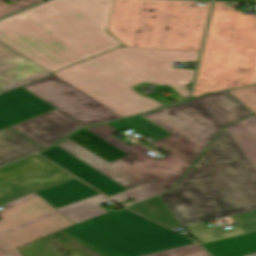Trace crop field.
Returning <instances> with one entry per match:
<instances>
[{
	"label": "crop field",
	"instance_id": "crop-field-1",
	"mask_svg": "<svg viewBox=\"0 0 256 256\" xmlns=\"http://www.w3.org/2000/svg\"><path fill=\"white\" fill-rule=\"evenodd\" d=\"M143 117L173 134L152 143L170 155L156 160L138 143L128 146L112 137L117 132L106 125L87 129L130 156L109 164L69 138L57 146L128 189L153 180L169 190L223 127L188 102Z\"/></svg>",
	"mask_w": 256,
	"mask_h": 256
},
{
	"label": "crop field",
	"instance_id": "crop-field-2",
	"mask_svg": "<svg viewBox=\"0 0 256 256\" xmlns=\"http://www.w3.org/2000/svg\"><path fill=\"white\" fill-rule=\"evenodd\" d=\"M159 197L181 226L256 209V171L224 128Z\"/></svg>",
	"mask_w": 256,
	"mask_h": 256
},
{
	"label": "crop field",
	"instance_id": "crop-field-3",
	"mask_svg": "<svg viewBox=\"0 0 256 256\" xmlns=\"http://www.w3.org/2000/svg\"><path fill=\"white\" fill-rule=\"evenodd\" d=\"M23 13L48 22L53 35L18 13L0 21V41L51 73L121 45L69 0H51Z\"/></svg>",
	"mask_w": 256,
	"mask_h": 256
},
{
	"label": "crop field",
	"instance_id": "crop-field-4",
	"mask_svg": "<svg viewBox=\"0 0 256 256\" xmlns=\"http://www.w3.org/2000/svg\"><path fill=\"white\" fill-rule=\"evenodd\" d=\"M114 0L107 31L126 47L199 51L211 2Z\"/></svg>",
	"mask_w": 256,
	"mask_h": 256
},
{
	"label": "crop field",
	"instance_id": "crop-field-5",
	"mask_svg": "<svg viewBox=\"0 0 256 256\" xmlns=\"http://www.w3.org/2000/svg\"><path fill=\"white\" fill-rule=\"evenodd\" d=\"M215 2L192 98L256 84V16Z\"/></svg>",
	"mask_w": 256,
	"mask_h": 256
},
{
	"label": "crop field",
	"instance_id": "crop-field-6",
	"mask_svg": "<svg viewBox=\"0 0 256 256\" xmlns=\"http://www.w3.org/2000/svg\"><path fill=\"white\" fill-rule=\"evenodd\" d=\"M54 75L123 117L154 109L125 87L148 78L165 82L125 47L91 58Z\"/></svg>",
	"mask_w": 256,
	"mask_h": 256
},
{
	"label": "crop field",
	"instance_id": "crop-field-7",
	"mask_svg": "<svg viewBox=\"0 0 256 256\" xmlns=\"http://www.w3.org/2000/svg\"><path fill=\"white\" fill-rule=\"evenodd\" d=\"M60 233L102 256H141L194 243L125 209L107 213Z\"/></svg>",
	"mask_w": 256,
	"mask_h": 256
},
{
	"label": "crop field",
	"instance_id": "crop-field-8",
	"mask_svg": "<svg viewBox=\"0 0 256 256\" xmlns=\"http://www.w3.org/2000/svg\"><path fill=\"white\" fill-rule=\"evenodd\" d=\"M0 219L3 253L73 225L35 193L4 206Z\"/></svg>",
	"mask_w": 256,
	"mask_h": 256
},
{
	"label": "crop field",
	"instance_id": "crop-field-9",
	"mask_svg": "<svg viewBox=\"0 0 256 256\" xmlns=\"http://www.w3.org/2000/svg\"><path fill=\"white\" fill-rule=\"evenodd\" d=\"M23 88L84 126L121 118V116L54 75Z\"/></svg>",
	"mask_w": 256,
	"mask_h": 256
},
{
	"label": "crop field",
	"instance_id": "crop-field-10",
	"mask_svg": "<svg viewBox=\"0 0 256 256\" xmlns=\"http://www.w3.org/2000/svg\"><path fill=\"white\" fill-rule=\"evenodd\" d=\"M40 156L0 169V205L32 191L71 179Z\"/></svg>",
	"mask_w": 256,
	"mask_h": 256
},
{
	"label": "crop field",
	"instance_id": "crop-field-11",
	"mask_svg": "<svg viewBox=\"0 0 256 256\" xmlns=\"http://www.w3.org/2000/svg\"><path fill=\"white\" fill-rule=\"evenodd\" d=\"M171 85L192 82L194 70L173 69V61L196 63L199 52L127 48Z\"/></svg>",
	"mask_w": 256,
	"mask_h": 256
},
{
	"label": "crop field",
	"instance_id": "crop-field-12",
	"mask_svg": "<svg viewBox=\"0 0 256 256\" xmlns=\"http://www.w3.org/2000/svg\"><path fill=\"white\" fill-rule=\"evenodd\" d=\"M11 127L45 148L83 126L55 109Z\"/></svg>",
	"mask_w": 256,
	"mask_h": 256
},
{
	"label": "crop field",
	"instance_id": "crop-field-13",
	"mask_svg": "<svg viewBox=\"0 0 256 256\" xmlns=\"http://www.w3.org/2000/svg\"><path fill=\"white\" fill-rule=\"evenodd\" d=\"M47 70L0 42V91L50 75Z\"/></svg>",
	"mask_w": 256,
	"mask_h": 256
},
{
	"label": "crop field",
	"instance_id": "crop-field-14",
	"mask_svg": "<svg viewBox=\"0 0 256 256\" xmlns=\"http://www.w3.org/2000/svg\"><path fill=\"white\" fill-rule=\"evenodd\" d=\"M53 109L32 94L18 88L0 95V129Z\"/></svg>",
	"mask_w": 256,
	"mask_h": 256
},
{
	"label": "crop field",
	"instance_id": "crop-field-15",
	"mask_svg": "<svg viewBox=\"0 0 256 256\" xmlns=\"http://www.w3.org/2000/svg\"><path fill=\"white\" fill-rule=\"evenodd\" d=\"M40 154L49 159L50 161L54 162L55 164H58L55 161L61 158H68L72 160L71 166L67 168L61 165L59 166L74 174L78 178L82 179L86 183L90 184L108 197L127 190L123 186L114 182L110 178L96 171L92 167L88 166L81 160L70 155L69 153L65 152L57 146Z\"/></svg>",
	"mask_w": 256,
	"mask_h": 256
},
{
	"label": "crop field",
	"instance_id": "crop-field-16",
	"mask_svg": "<svg viewBox=\"0 0 256 256\" xmlns=\"http://www.w3.org/2000/svg\"><path fill=\"white\" fill-rule=\"evenodd\" d=\"M225 92L196 98L189 102L224 126L251 114Z\"/></svg>",
	"mask_w": 256,
	"mask_h": 256
},
{
	"label": "crop field",
	"instance_id": "crop-field-17",
	"mask_svg": "<svg viewBox=\"0 0 256 256\" xmlns=\"http://www.w3.org/2000/svg\"><path fill=\"white\" fill-rule=\"evenodd\" d=\"M229 222H236L238 226L224 231L221 226L210 228L205 223L186 226L201 244L226 239L234 236L256 232V213L254 211L224 218Z\"/></svg>",
	"mask_w": 256,
	"mask_h": 256
},
{
	"label": "crop field",
	"instance_id": "crop-field-18",
	"mask_svg": "<svg viewBox=\"0 0 256 256\" xmlns=\"http://www.w3.org/2000/svg\"><path fill=\"white\" fill-rule=\"evenodd\" d=\"M54 208L99 194L77 179L36 192Z\"/></svg>",
	"mask_w": 256,
	"mask_h": 256
},
{
	"label": "crop field",
	"instance_id": "crop-field-19",
	"mask_svg": "<svg viewBox=\"0 0 256 256\" xmlns=\"http://www.w3.org/2000/svg\"><path fill=\"white\" fill-rule=\"evenodd\" d=\"M38 150L41 148L12 130L0 131V164L11 163Z\"/></svg>",
	"mask_w": 256,
	"mask_h": 256
},
{
	"label": "crop field",
	"instance_id": "crop-field-20",
	"mask_svg": "<svg viewBox=\"0 0 256 256\" xmlns=\"http://www.w3.org/2000/svg\"><path fill=\"white\" fill-rule=\"evenodd\" d=\"M108 202L112 201L106 196L99 194L78 202L56 208V210L64 215L72 223L77 224L107 213L98 205Z\"/></svg>",
	"mask_w": 256,
	"mask_h": 256
},
{
	"label": "crop field",
	"instance_id": "crop-field-21",
	"mask_svg": "<svg viewBox=\"0 0 256 256\" xmlns=\"http://www.w3.org/2000/svg\"><path fill=\"white\" fill-rule=\"evenodd\" d=\"M226 129L256 170V117L252 115Z\"/></svg>",
	"mask_w": 256,
	"mask_h": 256
},
{
	"label": "crop field",
	"instance_id": "crop-field-22",
	"mask_svg": "<svg viewBox=\"0 0 256 256\" xmlns=\"http://www.w3.org/2000/svg\"><path fill=\"white\" fill-rule=\"evenodd\" d=\"M203 246L213 256H242L256 251V233L212 242Z\"/></svg>",
	"mask_w": 256,
	"mask_h": 256
},
{
	"label": "crop field",
	"instance_id": "crop-field-23",
	"mask_svg": "<svg viewBox=\"0 0 256 256\" xmlns=\"http://www.w3.org/2000/svg\"><path fill=\"white\" fill-rule=\"evenodd\" d=\"M127 208L166 226L178 223L158 196Z\"/></svg>",
	"mask_w": 256,
	"mask_h": 256
},
{
	"label": "crop field",
	"instance_id": "crop-field-24",
	"mask_svg": "<svg viewBox=\"0 0 256 256\" xmlns=\"http://www.w3.org/2000/svg\"><path fill=\"white\" fill-rule=\"evenodd\" d=\"M96 23L107 28L113 0H70Z\"/></svg>",
	"mask_w": 256,
	"mask_h": 256
},
{
	"label": "crop field",
	"instance_id": "crop-field-25",
	"mask_svg": "<svg viewBox=\"0 0 256 256\" xmlns=\"http://www.w3.org/2000/svg\"><path fill=\"white\" fill-rule=\"evenodd\" d=\"M166 191H168V190L164 189L160 185L151 181L145 185L127 190L125 192H122V193L112 196L110 198L117 202L122 201L127 198H130V197H132L133 199L136 200V201H133V202L123 205L124 207H127L129 205L135 204L137 202L143 201V200L151 198L153 196L160 195Z\"/></svg>",
	"mask_w": 256,
	"mask_h": 256
},
{
	"label": "crop field",
	"instance_id": "crop-field-26",
	"mask_svg": "<svg viewBox=\"0 0 256 256\" xmlns=\"http://www.w3.org/2000/svg\"><path fill=\"white\" fill-rule=\"evenodd\" d=\"M229 92L256 114V86L230 90Z\"/></svg>",
	"mask_w": 256,
	"mask_h": 256
},
{
	"label": "crop field",
	"instance_id": "crop-field-27",
	"mask_svg": "<svg viewBox=\"0 0 256 256\" xmlns=\"http://www.w3.org/2000/svg\"><path fill=\"white\" fill-rule=\"evenodd\" d=\"M44 0H18L11 5L4 4L3 0H0V18L11 14L13 12L19 11L36 3Z\"/></svg>",
	"mask_w": 256,
	"mask_h": 256
},
{
	"label": "crop field",
	"instance_id": "crop-field-28",
	"mask_svg": "<svg viewBox=\"0 0 256 256\" xmlns=\"http://www.w3.org/2000/svg\"><path fill=\"white\" fill-rule=\"evenodd\" d=\"M25 256H54L42 240L20 248Z\"/></svg>",
	"mask_w": 256,
	"mask_h": 256
},
{
	"label": "crop field",
	"instance_id": "crop-field-29",
	"mask_svg": "<svg viewBox=\"0 0 256 256\" xmlns=\"http://www.w3.org/2000/svg\"><path fill=\"white\" fill-rule=\"evenodd\" d=\"M163 256H208L198 245L170 250L161 253ZM150 256H158L156 254Z\"/></svg>",
	"mask_w": 256,
	"mask_h": 256
},
{
	"label": "crop field",
	"instance_id": "crop-field-30",
	"mask_svg": "<svg viewBox=\"0 0 256 256\" xmlns=\"http://www.w3.org/2000/svg\"><path fill=\"white\" fill-rule=\"evenodd\" d=\"M143 82H150V83H153V84H156V85H167V86H170L168 84H164V83H161V82H158V81H154V80H151V79H148L146 81H143ZM134 85L130 86V87H127L129 90H131L130 88H132ZM132 91V90H131ZM133 92V91H132ZM135 93V92H133ZM136 94V93H135ZM137 95V94H136ZM139 96V95H138ZM141 97L143 100H145L146 102H148L149 104H151L153 107L157 108L159 107V104L158 102L150 99V98H147V97H144V96H139ZM184 97V96H183Z\"/></svg>",
	"mask_w": 256,
	"mask_h": 256
},
{
	"label": "crop field",
	"instance_id": "crop-field-31",
	"mask_svg": "<svg viewBox=\"0 0 256 256\" xmlns=\"http://www.w3.org/2000/svg\"><path fill=\"white\" fill-rule=\"evenodd\" d=\"M0 256H22L21 253L19 252L18 248L6 253V254H3L0 252Z\"/></svg>",
	"mask_w": 256,
	"mask_h": 256
},
{
	"label": "crop field",
	"instance_id": "crop-field-32",
	"mask_svg": "<svg viewBox=\"0 0 256 256\" xmlns=\"http://www.w3.org/2000/svg\"><path fill=\"white\" fill-rule=\"evenodd\" d=\"M176 90H178L182 95H184L185 97H188L189 95V90L187 89H183V88H179V87H175L173 86Z\"/></svg>",
	"mask_w": 256,
	"mask_h": 256
},
{
	"label": "crop field",
	"instance_id": "crop-field-33",
	"mask_svg": "<svg viewBox=\"0 0 256 256\" xmlns=\"http://www.w3.org/2000/svg\"><path fill=\"white\" fill-rule=\"evenodd\" d=\"M57 162H59L61 165H63V166H69L70 164H71V161L70 160H68V159H62V160H59V161H57ZM59 165V164H58Z\"/></svg>",
	"mask_w": 256,
	"mask_h": 256
},
{
	"label": "crop field",
	"instance_id": "crop-field-34",
	"mask_svg": "<svg viewBox=\"0 0 256 256\" xmlns=\"http://www.w3.org/2000/svg\"><path fill=\"white\" fill-rule=\"evenodd\" d=\"M39 29L43 30L40 26L38 27ZM47 35H51V33L46 32L45 30H43Z\"/></svg>",
	"mask_w": 256,
	"mask_h": 256
},
{
	"label": "crop field",
	"instance_id": "crop-field-35",
	"mask_svg": "<svg viewBox=\"0 0 256 256\" xmlns=\"http://www.w3.org/2000/svg\"><path fill=\"white\" fill-rule=\"evenodd\" d=\"M236 1H256V0H236Z\"/></svg>",
	"mask_w": 256,
	"mask_h": 256
},
{
	"label": "crop field",
	"instance_id": "crop-field-36",
	"mask_svg": "<svg viewBox=\"0 0 256 256\" xmlns=\"http://www.w3.org/2000/svg\"><path fill=\"white\" fill-rule=\"evenodd\" d=\"M47 25H48L47 23H45V24H42V26H43V27H45V28H46V26H47Z\"/></svg>",
	"mask_w": 256,
	"mask_h": 256
},
{
	"label": "crop field",
	"instance_id": "crop-field-37",
	"mask_svg": "<svg viewBox=\"0 0 256 256\" xmlns=\"http://www.w3.org/2000/svg\"><path fill=\"white\" fill-rule=\"evenodd\" d=\"M248 256H256V253H254V254H251V255H248Z\"/></svg>",
	"mask_w": 256,
	"mask_h": 256
}]
</instances>
